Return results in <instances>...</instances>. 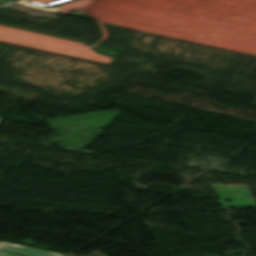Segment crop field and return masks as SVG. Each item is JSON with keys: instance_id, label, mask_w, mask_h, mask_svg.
<instances>
[{"instance_id": "1", "label": "crop field", "mask_w": 256, "mask_h": 256, "mask_svg": "<svg viewBox=\"0 0 256 256\" xmlns=\"http://www.w3.org/2000/svg\"><path fill=\"white\" fill-rule=\"evenodd\" d=\"M0 245L3 249H7V250H11V251L31 255V256H64V255L53 253V252L43 251V250L34 249V248L12 244L8 242H3V241H0Z\"/></svg>"}, {"instance_id": "2", "label": "crop field", "mask_w": 256, "mask_h": 256, "mask_svg": "<svg viewBox=\"0 0 256 256\" xmlns=\"http://www.w3.org/2000/svg\"><path fill=\"white\" fill-rule=\"evenodd\" d=\"M0 256H22V255H17V254L1 251Z\"/></svg>"}, {"instance_id": "3", "label": "crop field", "mask_w": 256, "mask_h": 256, "mask_svg": "<svg viewBox=\"0 0 256 256\" xmlns=\"http://www.w3.org/2000/svg\"><path fill=\"white\" fill-rule=\"evenodd\" d=\"M66 256H74V255L67 254ZM89 256H104V255L99 253L98 251H96L95 253H93V254H91Z\"/></svg>"}, {"instance_id": "4", "label": "crop field", "mask_w": 256, "mask_h": 256, "mask_svg": "<svg viewBox=\"0 0 256 256\" xmlns=\"http://www.w3.org/2000/svg\"><path fill=\"white\" fill-rule=\"evenodd\" d=\"M3 121H4V119H0V123L3 122Z\"/></svg>"}]
</instances>
